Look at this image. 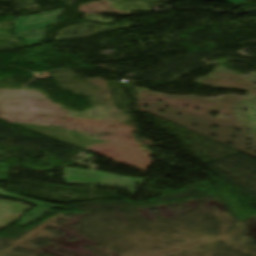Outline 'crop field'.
<instances>
[{"mask_svg": "<svg viewBox=\"0 0 256 256\" xmlns=\"http://www.w3.org/2000/svg\"><path fill=\"white\" fill-rule=\"evenodd\" d=\"M71 170H76L70 172ZM66 182H85L111 184L119 186H134V179L121 178L113 174H105L91 171H79L78 169H64Z\"/></svg>", "mask_w": 256, "mask_h": 256, "instance_id": "obj_1", "label": "crop field"}]
</instances>
